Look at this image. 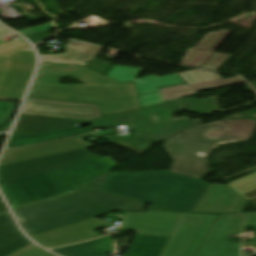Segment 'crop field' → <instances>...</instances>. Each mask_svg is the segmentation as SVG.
<instances>
[{
	"instance_id": "8a807250",
	"label": "crop field",
	"mask_w": 256,
	"mask_h": 256,
	"mask_svg": "<svg viewBox=\"0 0 256 256\" xmlns=\"http://www.w3.org/2000/svg\"><path fill=\"white\" fill-rule=\"evenodd\" d=\"M64 76L84 85L57 84ZM28 97L99 104L104 117L141 108L133 82L121 84L76 64L41 62Z\"/></svg>"
},
{
	"instance_id": "ac0d7876",
	"label": "crop field",
	"mask_w": 256,
	"mask_h": 256,
	"mask_svg": "<svg viewBox=\"0 0 256 256\" xmlns=\"http://www.w3.org/2000/svg\"><path fill=\"white\" fill-rule=\"evenodd\" d=\"M183 109L195 112L218 111L217 98L197 100L193 98L171 101L164 104L113 115L92 121V127L108 128L116 125H132L135 137L121 139L118 135L109 136L111 143L143 153L151 143L161 141L175 132L200 125V120H188L187 117L174 120L171 111Z\"/></svg>"
},
{
	"instance_id": "34b2d1b8",
	"label": "crop field",
	"mask_w": 256,
	"mask_h": 256,
	"mask_svg": "<svg viewBox=\"0 0 256 256\" xmlns=\"http://www.w3.org/2000/svg\"><path fill=\"white\" fill-rule=\"evenodd\" d=\"M143 208V203L91 190L14 209V212L23 230L30 236L115 209L141 212Z\"/></svg>"
},
{
	"instance_id": "412701ff",
	"label": "crop field",
	"mask_w": 256,
	"mask_h": 256,
	"mask_svg": "<svg viewBox=\"0 0 256 256\" xmlns=\"http://www.w3.org/2000/svg\"><path fill=\"white\" fill-rule=\"evenodd\" d=\"M208 184L173 172L110 173L98 188L167 209L191 212Z\"/></svg>"
},
{
	"instance_id": "f4fd0767",
	"label": "crop field",
	"mask_w": 256,
	"mask_h": 256,
	"mask_svg": "<svg viewBox=\"0 0 256 256\" xmlns=\"http://www.w3.org/2000/svg\"><path fill=\"white\" fill-rule=\"evenodd\" d=\"M231 122H214L166 140L163 146L174 159L170 171L198 179L207 175L209 163L206 156L209 152L219 144L247 140L256 124L252 120Z\"/></svg>"
},
{
	"instance_id": "dd49c442",
	"label": "crop field",
	"mask_w": 256,
	"mask_h": 256,
	"mask_svg": "<svg viewBox=\"0 0 256 256\" xmlns=\"http://www.w3.org/2000/svg\"><path fill=\"white\" fill-rule=\"evenodd\" d=\"M108 158H97L1 187L11 207L69 193L116 167Z\"/></svg>"
},
{
	"instance_id": "e52e79f7",
	"label": "crop field",
	"mask_w": 256,
	"mask_h": 256,
	"mask_svg": "<svg viewBox=\"0 0 256 256\" xmlns=\"http://www.w3.org/2000/svg\"><path fill=\"white\" fill-rule=\"evenodd\" d=\"M243 226L256 227V213L219 215L195 256H239L241 244L230 243L226 237L241 236ZM243 246L256 249V237Z\"/></svg>"
},
{
	"instance_id": "d8731c3e",
	"label": "crop field",
	"mask_w": 256,
	"mask_h": 256,
	"mask_svg": "<svg viewBox=\"0 0 256 256\" xmlns=\"http://www.w3.org/2000/svg\"><path fill=\"white\" fill-rule=\"evenodd\" d=\"M217 216L183 214L160 256H194Z\"/></svg>"
},
{
	"instance_id": "5a996713",
	"label": "crop field",
	"mask_w": 256,
	"mask_h": 256,
	"mask_svg": "<svg viewBox=\"0 0 256 256\" xmlns=\"http://www.w3.org/2000/svg\"><path fill=\"white\" fill-rule=\"evenodd\" d=\"M35 65V55L23 57L16 50L0 55V96L14 98L22 95Z\"/></svg>"
},
{
	"instance_id": "3316defc",
	"label": "crop field",
	"mask_w": 256,
	"mask_h": 256,
	"mask_svg": "<svg viewBox=\"0 0 256 256\" xmlns=\"http://www.w3.org/2000/svg\"><path fill=\"white\" fill-rule=\"evenodd\" d=\"M113 224L93 218L62 228L30 236L34 241L46 248L67 245L98 237L93 231Z\"/></svg>"
},
{
	"instance_id": "28ad6ade",
	"label": "crop field",
	"mask_w": 256,
	"mask_h": 256,
	"mask_svg": "<svg viewBox=\"0 0 256 256\" xmlns=\"http://www.w3.org/2000/svg\"><path fill=\"white\" fill-rule=\"evenodd\" d=\"M182 214L160 211L125 213L121 229L134 230L137 234L171 236Z\"/></svg>"
},
{
	"instance_id": "d1516ede",
	"label": "crop field",
	"mask_w": 256,
	"mask_h": 256,
	"mask_svg": "<svg viewBox=\"0 0 256 256\" xmlns=\"http://www.w3.org/2000/svg\"><path fill=\"white\" fill-rule=\"evenodd\" d=\"M21 113L90 120L100 118L97 105L28 98Z\"/></svg>"
},
{
	"instance_id": "22f410ed",
	"label": "crop field",
	"mask_w": 256,
	"mask_h": 256,
	"mask_svg": "<svg viewBox=\"0 0 256 256\" xmlns=\"http://www.w3.org/2000/svg\"><path fill=\"white\" fill-rule=\"evenodd\" d=\"M247 200L227 185L209 184L192 212L229 213L241 212Z\"/></svg>"
},
{
	"instance_id": "cbeb9de0",
	"label": "crop field",
	"mask_w": 256,
	"mask_h": 256,
	"mask_svg": "<svg viewBox=\"0 0 256 256\" xmlns=\"http://www.w3.org/2000/svg\"><path fill=\"white\" fill-rule=\"evenodd\" d=\"M143 69L112 66L107 77L115 79L121 83L134 81L137 94H146L160 91V87L171 86L184 83L177 74L158 77L155 75L142 79H137Z\"/></svg>"
},
{
	"instance_id": "5142ce71",
	"label": "crop field",
	"mask_w": 256,
	"mask_h": 256,
	"mask_svg": "<svg viewBox=\"0 0 256 256\" xmlns=\"http://www.w3.org/2000/svg\"><path fill=\"white\" fill-rule=\"evenodd\" d=\"M88 121L21 114L12 133L38 134L87 124Z\"/></svg>"
},
{
	"instance_id": "d9b57169",
	"label": "crop field",
	"mask_w": 256,
	"mask_h": 256,
	"mask_svg": "<svg viewBox=\"0 0 256 256\" xmlns=\"http://www.w3.org/2000/svg\"><path fill=\"white\" fill-rule=\"evenodd\" d=\"M230 32V30L222 29L206 34L194 48H188L181 63L200 68Z\"/></svg>"
},
{
	"instance_id": "733c2abd",
	"label": "crop field",
	"mask_w": 256,
	"mask_h": 256,
	"mask_svg": "<svg viewBox=\"0 0 256 256\" xmlns=\"http://www.w3.org/2000/svg\"><path fill=\"white\" fill-rule=\"evenodd\" d=\"M86 154H90V152L87 151L86 149H83V150H78L74 152L64 153L60 155H55V156H50L46 158H41V159H36L32 161L0 167V177L25 171V170H28V171L35 170L38 168H42V167L59 163L62 161H66L69 159H73Z\"/></svg>"
},
{
	"instance_id": "4a817a6b",
	"label": "crop field",
	"mask_w": 256,
	"mask_h": 256,
	"mask_svg": "<svg viewBox=\"0 0 256 256\" xmlns=\"http://www.w3.org/2000/svg\"><path fill=\"white\" fill-rule=\"evenodd\" d=\"M51 251L63 256H105L111 253V240L108 236Z\"/></svg>"
},
{
	"instance_id": "bc2a9ffb",
	"label": "crop field",
	"mask_w": 256,
	"mask_h": 256,
	"mask_svg": "<svg viewBox=\"0 0 256 256\" xmlns=\"http://www.w3.org/2000/svg\"><path fill=\"white\" fill-rule=\"evenodd\" d=\"M242 82L243 81L239 77H236V78L191 85V86L183 84V85L163 88L160 90L162 91L165 101L167 102L171 100L180 99L182 96H185V95L195 94L196 92H199V91L228 86V85L242 83Z\"/></svg>"
},
{
	"instance_id": "214f88e0",
	"label": "crop field",
	"mask_w": 256,
	"mask_h": 256,
	"mask_svg": "<svg viewBox=\"0 0 256 256\" xmlns=\"http://www.w3.org/2000/svg\"><path fill=\"white\" fill-rule=\"evenodd\" d=\"M169 237L136 235L125 256H159Z\"/></svg>"
},
{
	"instance_id": "92a150f3",
	"label": "crop field",
	"mask_w": 256,
	"mask_h": 256,
	"mask_svg": "<svg viewBox=\"0 0 256 256\" xmlns=\"http://www.w3.org/2000/svg\"><path fill=\"white\" fill-rule=\"evenodd\" d=\"M100 49L66 46L64 54L40 55L41 61L81 64L95 58Z\"/></svg>"
},
{
	"instance_id": "dafd665d",
	"label": "crop field",
	"mask_w": 256,
	"mask_h": 256,
	"mask_svg": "<svg viewBox=\"0 0 256 256\" xmlns=\"http://www.w3.org/2000/svg\"><path fill=\"white\" fill-rule=\"evenodd\" d=\"M89 131H91V126L81 128V129L71 130V131L55 133L47 136L34 138V139H31L32 135L12 134L6 147H20L24 145L40 143V142L55 140L63 137L76 135V134H81Z\"/></svg>"
},
{
	"instance_id": "00972430",
	"label": "crop field",
	"mask_w": 256,
	"mask_h": 256,
	"mask_svg": "<svg viewBox=\"0 0 256 256\" xmlns=\"http://www.w3.org/2000/svg\"><path fill=\"white\" fill-rule=\"evenodd\" d=\"M88 146H91V145L87 142H83V143H78V144H73V145H68V146H63V147H58V148H53V149H48V150H43V151H38V152L8 157V158H3V159H0V166L9 165V164L18 163V162L27 161V160H32V159L41 158V157H46V156H50V155L60 154V153H64V152L74 151V150H78V149H83Z\"/></svg>"
},
{
	"instance_id": "a9b5d70f",
	"label": "crop field",
	"mask_w": 256,
	"mask_h": 256,
	"mask_svg": "<svg viewBox=\"0 0 256 256\" xmlns=\"http://www.w3.org/2000/svg\"><path fill=\"white\" fill-rule=\"evenodd\" d=\"M93 158H97V157L94 156L93 154H90V155L79 157V158H76V159H73V160H69V161H66V162H62V163H59V164L48 166V167H45V168H42V169H38V170H35V171H31V172L25 171V172L13 174V175H10V176L2 177V178H0V187L4 186V185H7V184L17 182V181H20V180H23V179H27V178L36 176V175H39V174H43V173H46V172H49V171H53V170H56V169H59V168H63V167L70 166V165H73V164H76V163L87 161V160H90V159H93Z\"/></svg>"
},
{
	"instance_id": "4177f3b9",
	"label": "crop field",
	"mask_w": 256,
	"mask_h": 256,
	"mask_svg": "<svg viewBox=\"0 0 256 256\" xmlns=\"http://www.w3.org/2000/svg\"><path fill=\"white\" fill-rule=\"evenodd\" d=\"M83 141H84L83 138L81 136H78V137H72V138L62 139L58 141L43 143V144L31 146V147H25L21 149L5 150L1 158L43 150V149H48V148H53V147H58V146H63V145H68V144H73V143H78V142H83Z\"/></svg>"
},
{
	"instance_id": "730fd06b",
	"label": "crop field",
	"mask_w": 256,
	"mask_h": 256,
	"mask_svg": "<svg viewBox=\"0 0 256 256\" xmlns=\"http://www.w3.org/2000/svg\"><path fill=\"white\" fill-rule=\"evenodd\" d=\"M248 201L256 198V176L253 174L227 184Z\"/></svg>"
},
{
	"instance_id": "eef30255",
	"label": "crop field",
	"mask_w": 256,
	"mask_h": 256,
	"mask_svg": "<svg viewBox=\"0 0 256 256\" xmlns=\"http://www.w3.org/2000/svg\"><path fill=\"white\" fill-rule=\"evenodd\" d=\"M31 242L24 237L18 229H16L6 240L3 247L0 250V256H6Z\"/></svg>"
},
{
	"instance_id": "ae1a2a85",
	"label": "crop field",
	"mask_w": 256,
	"mask_h": 256,
	"mask_svg": "<svg viewBox=\"0 0 256 256\" xmlns=\"http://www.w3.org/2000/svg\"><path fill=\"white\" fill-rule=\"evenodd\" d=\"M178 74L188 85L221 79L218 74L198 70L181 72Z\"/></svg>"
},
{
	"instance_id": "d3111659",
	"label": "crop field",
	"mask_w": 256,
	"mask_h": 256,
	"mask_svg": "<svg viewBox=\"0 0 256 256\" xmlns=\"http://www.w3.org/2000/svg\"><path fill=\"white\" fill-rule=\"evenodd\" d=\"M16 228L17 227L8 211L0 214V248L3 245V243L5 242L6 238Z\"/></svg>"
},
{
	"instance_id": "750c4746",
	"label": "crop field",
	"mask_w": 256,
	"mask_h": 256,
	"mask_svg": "<svg viewBox=\"0 0 256 256\" xmlns=\"http://www.w3.org/2000/svg\"><path fill=\"white\" fill-rule=\"evenodd\" d=\"M230 57V55L213 52L201 68L217 71Z\"/></svg>"
},
{
	"instance_id": "bd1437ed",
	"label": "crop field",
	"mask_w": 256,
	"mask_h": 256,
	"mask_svg": "<svg viewBox=\"0 0 256 256\" xmlns=\"http://www.w3.org/2000/svg\"><path fill=\"white\" fill-rule=\"evenodd\" d=\"M9 256H55L31 244Z\"/></svg>"
},
{
	"instance_id": "1d83c4d3",
	"label": "crop field",
	"mask_w": 256,
	"mask_h": 256,
	"mask_svg": "<svg viewBox=\"0 0 256 256\" xmlns=\"http://www.w3.org/2000/svg\"><path fill=\"white\" fill-rule=\"evenodd\" d=\"M28 45V43L21 37H18L14 40H11L7 43L1 44L0 45V54H4L7 52H10L16 48L22 47Z\"/></svg>"
},
{
	"instance_id": "120bbe31",
	"label": "crop field",
	"mask_w": 256,
	"mask_h": 256,
	"mask_svg": "<svg viewBox=\"0 0 256 256\" xmlns=\"http://www.w3.org/2000/svg\"><path fill=\"white\" fill-rule=\"evenodd\" d=\"M139 98H140L142 108L165 102L161 92L146 95V96H141Z\"/></svg>"
},
{
	"instance_id": "d32e631a",
	"label": "crop field",
	"mask_w": 256,
	"mask_h": 256,
	"mask_svg": "<svg viewBox=\"0 0 256 256\" xmlns=\"http://www.w3.org/2000/svg\"><path fill=\"white\" fill-rule=\"evenodd\" d=\"M14 106L12 103L0 101V124L10 116Z\"/></svg>"
},
{
	"instance_id": "5866460e",
	"label": "crop field",
	"mask_w": 256,
	"mask_h": 256,
	"mask_svg": "<svg viewBox=\"0 0 256 256\" xmlns=\"http://www.w3.org/2000/svg\"><path fill=\"white\" fill-rule=\"evenodd\" d=\"M54 28L55 27L53 26V24L49 23V24L40 25V26H36V27H33V28H29V29L19 30V32L24 34V35H29V34H34V33H38V32L51 30V29H54Z\"/></svg>"
},
{
	"instance_id": "028f5c9d",
	"label": "crop field",
	"mask_w": 256,
	"mask_h": 256,
	"mask_svg": "<svg viewBox=\"0 0 256 256\" xmlns=\"http://www.w3.org/2000/svg\"><path fill=\"white\" fill-rule=\"evenodd\" d=\"M28 47H29L31 50L26 51L25 49L28 48ZM17 51L20 52L23 56H28V55H33V54H35L34 51H33V49L30 47V45L25 46V47H22V48H19V49H17Z\"/></svg>"
},
{
	"instance_id": "e1f06a70",
	"label": "crop field",
	"mask_w": 256,
	"mask_h": 256,
	"mask_svg": "<svg viewBox=\"0 0 256 256\" xmlns=\"http://www.w3.org/2000/svg\"><path fill=\"white\" fill-rule=\"evenodd\" d=\"M13 122V119H11L6 125L0 128V132H8L11 124Z\"/></svg>"
},
{
	"instance_id": "0bd39190",
	"label": "crop field",
	"mask_w": 256,
	"mask_h": 256,
	"mask_svg": "<svg viewBox=\"0 0 256 256\" xmlns=\"http://www.w3.org/2000/svg\"><path fill=\"white\" fill-rule=\"evenodd\" d=\"M79 127V126H78ZM78 127H74V128H69V129H64V130H59V131H53V132H48V133H43V134H38V135H33L32 138L34 137H38V136H42V135H47V134H51V133H55V132H60V131H65V130H71V129H76Z\"/></svg>"
},
{
	"instance_id": "b80d0937",
	"label": "crop field",
	"mask_w": 256,
	"mask_h": 256,
	"mask_svg": "<svg viewBox=\"0 0 256 256\" xmlns=\"http://www.w3.org/2000/svg\"><path fill=\"white\" fill-rule=\"evenodd\" d=\"M110 133H112V131L108 130V131L98 132V133H96V135L101 136V135L110 134Z\"/></svg>"
},
{
	"instance_id": "c035e120",
	"label": "crop field",
	"mask_w": 256,
	"mask_h": 256,
	"mask_svg": "<svg viewBox=\"0 0 256 256\" xmlns=\"http://www.w3.org/2000/svg\"><path fill=\"white\" fill-rule=\"evenodd\" d=\"M6 210L4 203H0V212Z\"/></svg>"
},
{
	"instance_id": "c21b1889",
	"label": "crop field",
	"mask_w": 256,
	"mask_h": 256,
	"mask_svg": "<svg viewBox=\"0 0 256 256\" xmlns=\"http://www.w3.org/2000/svg\"><path fill=\"white\" fill-rule=\"evenodd\" d=\"M250 204H252V205L256 208V200H255V201L250 202Z\"/></svg>"
},
{
	"instance_id": "03da06ac",
	"label": "crop field",
	"mask_w": 256,
	"mask_h": 256,
	"mask_svg": "<svg viewBox=\"0 0 256 256\" xmlns=\"http://www.w3.org/2000/svg\"><path fill=\"white\" fill-rule=\"evenodd\" d=\"M1 34H4V33L0 31V35H1ZM1 43H4V41H2V40L0 39V44H1Z\"/></svg>"
},
{
	"instance_id": "b54c1fbb",
	"label": "crop field",
	"mask_w": 256,
	"mask_h": 256,
	"mask_svg": "<svg viewBox=\"0 0 256 256\" xmlns=\"http://www.w3.org/2000/svg\"><path fill=\"white\" fill-rule=\"evenodd\" d=\"M254 175H256V173H254Z\"/></svg>"
},
{
	"instance_id": "5d738f31",
	"label": "crop field",
	"mask_w": 256,
	"mask_h": 256,
	"mask_svg": "<svg viewBox=\"0 0 256 256\" xmlns=\"http://www.w3.org/2000/svg\"><path fill=\"white\" fill-rule=\"evenodd\" d=\"M0 200H1V198H0Z\"/></svg>"
}]
</instances>
